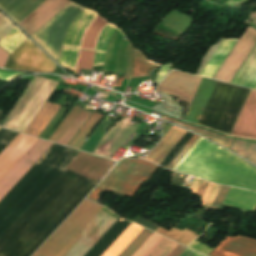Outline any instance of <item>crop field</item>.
<instances>
[{
    "label": "crop field",
    "instance_id": "8a807250",
    "mask_svg": "<svg viewBox=\"0 0 256 256\" xmlns=\"http://www.w3.org/2000/svg\"><path fill=\"white\" fill-rule=\"evenodd\" d=\"M101 207L85 199L32 256H56ZM100 210L120 218L105 207ZM100 210L78 233L82 237L76 235L57 256H64L79 238L65 256H84L110 229L117 220Z\"/></svg>",
    "mask_w": 256,
    "mask_h": 256
},
{
    "label": "crop field",
    "instance_id": "ac0d7876",
    "mask_svg": "<svg viewBox=\"0 0 256 256\" xmlns=\"http://www.w3.org/2000/svg\"><path fill=\"white\" fill-rule=\"evenodd\" d=\"M174 170L256 192V168L201 138Z\"/></svg>",
    "mask_w": 256,
    "mask_h": 256
},
{
    "label": "crop field",
    "instance_id": "34b2d1b8",
    "mask_svg": "<svg viewBox=\"0 0 256 256\" xmlns=\"http://www.w3.org/2000/svg\"><path fill=\"white\" fill-rule=\"evenodd\" d=\"M156 166L138 159H122L117 166L99 183L88 198L97 202L102 190L133 197L150 177ZM100 194V193H99Z\"/></svg>",
    "mask_w": 256,
    "mask_h": 256
},
{
    "label": "crop field",
    "instance_id": "412701ff",
    "mask_svg": "<svg viewBox=\"0 0 256 256\" xmlns=\"http://www.w3.org/2000/svg\"><path fill=\"white\" fill-rule=\"evenodd\" d=\"M57 84L53 80L33 76L2 127L23 133Z\"/></svg>",
    "mask_w": 256,
    "mask_h": 256
},
{
    "label": "crop field",
    "instance_id": "f4fd0767",
    "mask_svg": "<svg viewBox=\"0 0 256 256\" xmlns=\"http://www.w3.org/2000/svg\"><path fill=\"white\" fill-rule=\"evenodd\" d=\"M202 78L193 75L172 71L163 82L157 87V90L177 96L179 99L189 102L197 90ZM152 108L168 113L180 118L178 114L179 106L171 99L153 106Z\"/></svg>",
    "mask_w": 256,
    "mask_h": 256
},
{
    "label": "crop field",
    "instance_id": "dd49c442",
    "mask_svg": "<svg viewBox=\"0 0 256 256\" xmlns=\"http://www.w3.org/2000/svg\"><path fill=\"white\" fill-rule=\"evenodd\" d=\"M5 68L48 73L54 71L55 63L27 38L11 53Z\"/></svg>",
    "mask_w": 256,
    "mask_h": 256
},
{
    "label": "crop field",
    "instance_id": "e52e79f7",
    "mask_svg": "<svg viewBox=\"0 0 256 256\" xmlns=\"http://www.w3.org/2000/svg\"><path fill=\"white\" fill-rule=\"evenodd\" d=\"M52 143L39 139L20 161L0 181V200L46 152Z\"/></svg>",
    "mask_w": 256,
    "mask_h": 256
},
{
    "label": "crop field",
    "instance_id": "d8731c3e",
    "mask_svg": "<svg viewBox=\"0 0 256 256\" xmlns=\"http://www.w3.org/2000/svg\"><path fill=\"white\" fill-rule=\"evenodd\" d=\"M115 161L80 152L67 169L99 182Z\"/></svg>",
    "mask_w": 256,
    "mask_h": 256
},
{
    "label": "crop field",
    "instance_id": "5a996713",
    "mask_svg": "<svg viewBox=\"0 0 256 256\" xmlns=\"http://www.w3.org/2000/svg\"><path fill=\"white\" fill-rule=\"evenodd\" d=\"M69 2L70 0H46L18 25L31 36Z\"/></svg>",
    "mask_w": 256,
    "mask_h": 256
},
{
    "label": "crop field",
    "instance_id": "3316defc",
    "mask_svg": "<svg viewBox=\"0 0 256 256\" xmlns=\"http://www.w3.org/2000/svg\"><path fill=\"white\" fill-rule=\"evenodd\" d=\"M37 138L18 134L13 141L0 153V179L16 164L31 148Z\"/></svg>",
    "mask_w": 256,
    "mask_h": 256
},
{
    "label": "crop field",
    "instance_id": "28ad6ade",
    "mask_svg": "<svg viewBox=\"0 0 256 256\" xmlns=\"http://www.w3.org/2000/svg\"><path fill=\"white\" fill-rule=\"evenodd\" d=\"M230 135L256 139V91H250Z\"/></svg>",
    "mask_w": 256,
    "mask_h": 256
},
{
    "label": "crop field",
    "instance_id": "d1516ede",
    "mask_svg": "<svg viewBox=\"0 0 256 256\" xmlns=\"http://www.w3.org/2000/svg\"><path fill=\"white\" fill-rule=\"evenodd\" d=\"M209 256H256V241L246 237H224Z\"/></svg>",
    "mask_w": 256,
    "mask_h": 256
},
{
    "label": "crop field",
    "instance_id": "22f410ed",
    "mask_svg": "<svg viewBox=\"0 0 256 256\" xmlns=\"http://www.w3.org/2000/svg\"><path fill=\"white\" fill-rule=\"evenodd\" d=\"M162 236L153 233L146 242L132 255L144 256ZM177 243L162 237L145 256H167ZM186 247L178 244L168 256H179Z\"/></svg>",
    "mask_w": 256,
    "mask_h": 256
},
{
    "label": "crop field",
    "instance_id": "cbeb9de0",
    "mask_svg": "<svg viewBox=\"0 0 256 256\" xmlns=\"http://www.w3.org/2000/svg\"><path fill=\"white\" fill-rule=\"evenodd\" d=\"M216 83V81L202 79L188 113L186 112L185 121L198 123Z\"/></svg>",
    "mask_w": 256,
    "mask_h": 256
},
{
    "label": "crop field",
    "instance_id": "5142ce71",
    "mask_svg": "<svg viewBox=\"0 0 256 256\" xmlns=\"http://www.w3.org/2000/svg\"><path fill=\"white\" fill-rule=\"evenodd\" d=\"M45 0H0L2 9L17 24Z\"/></svg>",
    "mask_w": 256,
    "mask_h": 256
},
{
    "label": "crop field",
    "instance_id": "d9b57169",
    "mask_svg": "<svg viewBox=\"0 0 256 256\" xmlns=\"http://www.w3.org/2000/svg\"><path fill=\"white\" fill-rule=\"evenodd\" d=\"M185 133L186 131L172 126L161 143L149 153L146 159L159 165Z\"/></svg>",
    "mask_w": 256,
    "mask_h": 256
},
{
    "label": "crop field",
    "instance_id": "733c2abd",
    "mask_svg": "<svg viewBox=\"0 0 256 256\" xmlns=\"http://www.w3.org/2000/svg\"><path fill=\"white\" fill-rule=\"evenodd\" d=\"M97 14L84 10L73 22L63 46L79 48V43L89 23Z\"/></svg>",
    "mask_w": 256,
    "mask_h": 256
},
{
    "label": "crop field",
    "instance_id": "4a817a6b",
    "mask_svg": "<svg viewBox=\"0 0 256 256\" xmlns=\"http://www.w3.org/2000/svg\"><path fill=\"white\" fill-rule=\"evenodd\" d=\"M59 108L60 105L45 102L24 133L38 137Z\"/></svg>",
    "mask_w": 256,
    "mask_h": 256
},
{
    "label": "crop field",
    "instance_id": "bc2a9ffb",
    "mask_svg": "<svg viewBox=\"0 0 256 256\" xmlns=\"http://www.w3.org/2000/svg\"><path fill=\"white\" fill-rule=\"evenodd\" d=\"M142 229L131 223L101 256H118Z\"/></svg>",
    "mask_w": 256,
    "mask_h": 256
},
{
    "label": "crop field",
    "instance_id": "214f88e0",
    "mask_svg": "<svg viewBox=\"0 0 256 256\" xmlns=\"http://www.w3.org/2000/svg\"><path fill=\"white\" fill-rule=\"evenodd\" d=\"M223 203L256 210V193L230 187Z\"/></svg>",
    "mask_w": 256,
    "mask_h": 256
},
{
    "label": "crop field",
    "instance_id": "92a150f3",
    "mask_svg": "<svg viewBox=\"0 0 256 256\" xmlns=\"http://www.w3.org/2000/svg\"><path fill=\"white\" fill-rule=\"evenodd\" d=\"M236 41L237 39H224L214 56L201 73V76L212 79Z\"/></svg>",
    "mask_w": 256,
    "mask_h": 256
},
{
    "label": "crop field",
    "instance_id": "dafd665d",
    "mask_svg": "<svg viewBox=\"0 0 256 256\" xmlns=\"http://www.w3.org/2000/svg\"><path fill=\"white\" fill-rule=\"evenodd\" d=\"M107 23L108 22L97 15L96 18L88 26L80 43V48L95 50L97 38Z\"/></svg>",
    "mask_w": 256,
    "mask_h": 256
},
{
    "label": "crop field",
    "instance_id": "00972430",
    "mask_svg": "<svg viewBox=\"0 0 256 256\" xmlns=\"http://www.w3.org/2000/svg\"><path fill=\"white\" fill-rule=\"evenodd\" d=\"M125 35L120 30H116L114 35L112 36L106 51V59H105V66L104 70L106 72H115L116 67V57H117V50L119 47L120 40Z\"/></svg>",
    "mask_w": 256,
    "mask_h": 256
},
{
    "label": "crop field",
    "instance_id": "a9b5d70f",
    "mask_svg": "<svg viewBox=\"0 0 256 256\" xmlns=\"http://www.w3.org/2000/svg\"><path fill=\"white\" fill-rule=\"evenodd\" d=\"M156 232L167 236L175 241H178L186 246H188L196 237H198L199 235L191 232L188 229H184L182 231L172 227L169 231L164 229L163 227H159Z\"/></svg>",
    "mask_w": 256,
    "mask_h": 256
},
{
    "label": "crop field",
    "instance_id": "4177f3b9",
    "mask_svg": "<svg viewBox=\"0 0 256 256\" xmlns=\"http://www.w3.org/2000/svg\"><path fill=\"white\" fill-rule=\"evenodd\" d=\"M157 66L149 62L141 52L135 50L132 77L146 76Z\"/></svg>",
    "mask_w": 256,
    "mask_h": 256
},
{
    "label": "crop field",
    "instance_id": "730fd06b",
    "mask_svg": "<svg viewBox=\"0 0 256 256\" xmlns=\"http://www.w3.org/2000/svg\"><path fill=\"white\" fill-rule=\"evenodd\" d=\"M91 112L83 109L82 112L78 115V117L71 123V125L67 128V130L62 134L57 143L67 145L68 142L73 138V136L78 132V130L82 127L84 122L90 116Z\"/></svg>",
    "mask_w": 256,
    "mask_h": 256
},
{
    "label": "crop field",
    "instance_id": "eef30255",
    "mask_svg": "<svg viewBox=\"0 0 256 256\" xmlns=\"http://www.w3.org/2000/svg\"><path fill=\"white\" fill-rule=\"evenodd\" d=\"M230 149L256 164V143L235 140Z\"/></svg>",
    "mask_w": 256,
    "mask_h": 256
},
{
    "label": "crop field",
    "instance_id": "ae1a2a85",
    "mask_svg": "<svg viewBox=\"0 0 256 256\" xmlns=\"http://www.w3.org/2000/svg\"><path fill=\"white\" fill-rule=\"evenodd\" d=\"M26 38L27 37L24 34H22L16 27L2 41H0V47L4 48L5 50L11 53Z\"/></svg>",
    "mask_w": 256,
    "mask_h": 256
},
{
    "label": "crop field",
    "instance_id": "d3111659",
    "mask_svg": "<svg viewBox=\"0 0 256 256\" xmlns=\"http://www.w3.org/2000/svg\"><path fill=\"white\" fill-rule=\"evenodd\" d=\"M101 117V115L97 113H93L87 123L83 126V128L78 132V134L72 139L69 143V146H73L79 148L85 139L86 135L91 131L93 125L97 122V120Z\"/></svg>",
    "mask_w": 256,
    "mask_h": 256
},
{
    "label": "crop field",
    "instance_id": "750c4746",
    "mask_svg": "<svg viewBox=\"0 0 256 256\" xmlns=\"http://www.w3.org/2000/svg\"><path fill=\"white\" fill-rule=\"evenodd\" d=\"M95 52L79 50L78 59L75 67V74L79 75L81 68L91 69L94 61Z\"/></svg>",
    "mask_w": 256,
    "mask_h": 256
},
{
    "label": "crop field",
    "instance_id": "bd1437ed",
    "mask_svg": "<svg viewBox=\"0 0 256 256\" xmlns=\"http://www.w3.org/2000/svg\"><path fill=\"white\" fill-rule=\"evenodd\" d=\"M82 108L75 106L71 112L68 114V116L65 118V120L62 122V124L59 126V128L54 132V134L48 139L50 141L56 142L57 139L61 136V134L64 132V130L68 127V125L74 120V118L81 112Z\"/></svg>",
    "mask_w": 256,
    "mask_h": 256
},
{
    "label": "crop field",
    "instance_id": "1d83c4d3",
    "mask_svg": "<svg viewBox=\"0 0 256 256\" xmlns=\"http://www.w3.org/2000/svg\"><path fill=\"white\" fill-rule=\"evenodd\" d=\"M77 52L78 50L75 49L63 48L60 54L59 64L74 70Z\"/></svg>",
    "mask_w": 256,
    "mask_h": 256
},
{
    "label": "crop field",
    "instance_id": "120bbe31",
    "mask_svg": "<svg viewBox=\"0 0 256 256\" xmlns=\"http://www.w3.org/2000/svg\"><path fill=\"white\" fill-rule=\"evenodd\" d=\"M151 233V231L144 228L119 256H131Z\"/></svg>",
    "mask_w": 256,
    "mask_h": 256
},
{
    "label": "crop field",
    "instance_id": "d32e631a",
    "mask_svg": "<svg viewBox=\"0 0 256 256\" xmlns=\"http://www.w3.org/2000/svg\"><path fill=\"white\" fill-rule=\"evenodd\" d=\"M116 28V26L110 23L107 24V26L102 30L98 38L96 50L105 52L108 40L111 37L112 33L116 30Z\"/></svg>",
    "mask_w": 256,
    "mask_h": 256
},
{
    "label": "crop field",
    "instance_id": "5866460e",
    "mask_svg": "<svg viewBox=\"0 0 256 256\" xmlns=\"http://www.w3.org/2000/svg\"><path fill=\"white\" fill-rule=\"evenodd\" d=\"M177 124H179L181 126H184V127L188 128V129H191V130H193L195 132H198V133H200V134H202V135H204V136H206V137H208V138H210V139L220 143L221 145H223V146H225L227 148L229 147V145L233 141L232 139H226L224 137H221V136H218V135H215V134H212V133L200 130V129L194 127V126L182 124V123H179V122Z\"/></svg>",
    "mask_w": 256,
    "mask_h": 256
},
{
    "label": "crop field",
    "instance_id": "028f5c9d",
    "mask_svg": "<svg viewBox=\"0 0 256 256\" xmlns=\"http://www.w3.org/2000/svg\"><path fill=\"white\" fill-rule=\"evenodd\" d=\"M199 139L197 136H193L191 140L184 146V148L177 154V156L170 162L167 168L173 169L180 159L187 153V151L196 143Z\"/></svg>",
    "mask_w": 256,
    "mask_h": 256
},
{
    "label": "crop field",
    "instance_id": "e1f06a70",
    "mask_svg": "<svg viewBox=\"0 0 256 256\" xmlns=\"http://www.w3.org/2000/svg\"><path fill=\"white\" fill-rule=\"evenodd\" d=\"M132 43L127 46L126 49V65H125V71H124V76L123 79L129 80L131 77V70H132V58H133V48H132Z\"/></svg>",
    "mask_w": 256,
    "mask_h": 256
},
{
    "label": "crop field",
    "instance_id": "0bd39190",
    "mask_svg": "<svg viewBox=\"0 0 256 256\" xmlns=\"http://www.w3.org/2000/svg\"><path fill=\"white\" fill-rule=\"evenodd\" d=\"M17 133L0 128V152L10 143Z\"/></svg>",
    "mask_w": 256,
    "mask_h": 256
},
{
    "label": "crop field",
    "instance_id": "b80d0937",
    "mask_svg": "<svg viewBox=\"0 0 256 256\" xmlns=\"http://www.w3.org/2000/svg\"><path fill=\"white\" fill-rule=\"evenodd\" d=\"M16 26L0 13V40L3 39Z\"/></svg>",
    "mask_w": 256,
    "mask_h": 256
},
{
    "label": "crop field",
    "instance_id": "c035e120",
    "mask_svg": "<svg viewBox=\"0 0 256 256\" xmlns=\"http://www.w3.org/2000/svg\"><path fill=\"white\" fill-rule=\"evenodd\" d=\"M228 188L229 187H224V186L221 187V189L219 190V192H218V194H217V196H216V198H215L211 208L217 209L220 206V204H221V202H222V200H223V198H224Z\"/></svg>",
    "mask_w": 256,
    "mask_h": 256
},
{
    "label": "crop field",
    "instance_id": "c21b1889",
    "mask_svg": "<svg viewBox=\"0 0 256 256\" xmlns=\"http://www.w3.org/2000/svg\"><path fill=\"white\" fill-rule=\"evenodd\" d=\"M190 247H192V248H194V249H196V250H198V251H200L204 254H208L212 250V248H210V247H208V246H206V245H204V244H202V243H200L196 240L191 243Z\"/></svg>",
    "mask_w": 256,
    "mask_h": 256
},
{
    "label": "crop field",
    "instance_id": "03da06ac",
    "mask_svg": "<svg viewBox=\"0 0 256 256\" xmlns=\"http://www.w3.org/2000/svg\"><path fill=\"white\" fill-rule=\"evenodd\" d=\"M214 187H215V184H212L210 182L208 183V185H207V187H206V189H205V191H204V193L202 195V198H201V200L203 202L202 206L206 205V203H207V201H208V199H209V197H210Z\"/></svg>",
    "mask_w": 256,
    "mask_h": 256
},
{
    "label": "crop field",
    "instance_id": "b54c1fbb",
    "mask_svg": "<svg viewBox=\"0 0 256 256\" xmlns=\"http://www.w3.org/2000/svg\"><path fill=\"white\" fill-rule=\"evenodd\" d=\"M172 65L173 64L163 65L159 70L154 82L159 83V81L164 77V75L170 70Z\"/></svg>",
    "mask_w": 256,
    "mask_h": 256
},
{
    "label": "crop field",
    "instance_id": "5d738f31",
    "mask_svg": "<svg viewBox=\"0 0 256 256\" xmlns=\"http://www.w3.org/2000/svg\"><path fill=\"white\" fill-rule=\"evenodd\" d=\"M17 75H21L20 73H13V72H7V71H1L0 70V78L6 81L12 80Z\"/></svg>",
    "mask_w": 256,
    "mask_h": 256
},
{
    "label": "crop field",
    "instance_id": "d23c7cc5",
    "mask_svg": "<svg viewBox=\"0 0 256 256\" xmlns=\"http://www.w3.org/2000/svg\"><path fill=\"white\" fill-rule=\"evenodd\" d=\"M104 58H105V53L96 52L95 61L93 65H103Z\"/></svg>",
    "mask_w": 256,
    "mask_h": 256
},
{
    "label": "crop field",
    "instance_id": "425ffa30",
    "mask_svg": "<svg viewBox=\"0 0 256 256\" xmlns=\"http://www.w3.org/2000/svg\"><path fill=\"white\" fill-rule=\"evenodd\" d=\"M201 183H202V180L194 178V180L190 186V189H192V193L196 192V190L198 189V187L200 186Z\"/></svg>",
    "mask_w": 256,
    "mask_h": 256
},
{
    "label": "crop field",
    "instance_id": "25e5ab78",
    "mask_svg": "<svg viewBox=\"0 0 256 256\" xmlns=\"http://www.w3.org/2000/svg\"><path fill=\"white\" fill-rule=\"evenodd\" d=\"M8 53L0 48V67L3 68L7 59Z\"/></svg>",
    "mask_w": 256,
    "mask_h": 256
},
{
    "label": "crop field",
    "instance_id": "73cf0c24",
    "mask_svg": "<svg viewBox=\"0 0 256 256\" xmlns=\"http://www.w3.org/2000/svg\"><path fill=\"white\" fill-rule=\"evenodd\" d=\"M219 188H220V186H219V185H216V187H215V189H214V191H213V193H212V195H211V197H210V199H209V201H208V203H207V206H206V208H205L206 211L210 208L211 203H212V201H213L215 195L217 194Z\"/></svg>",
    "mask_w": 256,
    "mask_h": 256
},
{
    "label": "crop field",
    "instance_id": "89e229c0",
    "mask_svg": "<svg viewBox=\"0 0 256 256\" xmlns=\"http://www.w3.org/2000/svg\"><path fill=\"white\" fill-rule=\"evenodd\" d=\"M206 184H207V182H204V181H203V183L201 184V186L199 187V189H198V191H197V193H196L197 195H199V196L202 195V192H203V190H204Z\"/></svg>",
    "mask_w": 256,
    "mask_h": 256
},
{
    "label": "crop field",
    "instance_id": "1f2cbd36",
    "mask_svg": "<svg viewBox=\"0 0 256 256\" xmlns=\"http://www.w3.org/2000/svg\"><path fill=\"white\" fill-rule=\"evenodd\" d=\"M162 118H163V119H167V120H169V121H171V122H173V123L177 122V121H175V120H173V119H170V118H168V117H165V116H163Z\"/></svg>",
    "mask_w": 256,
    "mask_h": 256
}]
</instances>
